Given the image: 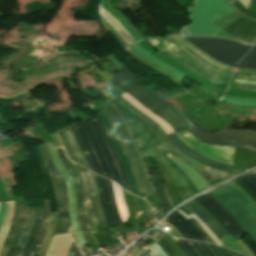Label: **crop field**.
<instances>
[{"mask_svg": "<svg viewBox=\"0 0 256 256\" xmlns=\"http://www.w3.org/2000/svg\"><path fill=\"white\" fill-rule=\"evenodd\" d=\"M113 104L121 112L144 159L155 156L167 150L179 160L189 164L210 185L234 175L208 168L180 153L168 140L165 132L158 124L140 112L126 100L122 99L113 102Z\"/></svg>", "mask_w": 256, "mask_h": 256, "instance_id": "obj_1", "label": "crop field"}, {"mask_svg": "<svg viewBox=\"0 0 256 256\" xmlns=\"http://www.w3.org/2000/svg\"><path fill=\"white\" fill-rule=\"evenodd\" d=\"M72 127L93 172L118 182L130 192L122 165L99 118L96 116Z\"/></svg>", "mask_w": 256, "mask_h": 256, "instance_id": "obj_2", "label": "crop field"}, {"mask_svg": "<svg viewBox=\"0 0 256 256\" xmlns=\"http://www.w3.org/2000/svg\"><path fill=\"white\" fill-rule=\"evenodd\" d=\"M188 11L192 24L181 29L185 36H215L222 29L212 21L237 10L225 0H194Z\"/></svg>", "mask_w": 256, "mask_h": 256, "instance_id": "obj_3", "label": "crop field"}, {"mask_svg": "<svg viewBox=\"0 0 256 256\" xmlns=\"http://www.w3.org/2000/svg\"><path fill=\"white\" fill-rule=\"evenodd\" d=\"M154 47L162 50L170 57L178 60L208 82L227 87L230 75L223 74L202 63L183 48L169 39H147Z\"/></svg>", "mask_w": 256, "mask_h": 256, "instance_id": "obj_4", "label": "crop field"}, {"mask_svg": "<svg viewBox=\"0 0 256 256\" xmlns=\"http://www.w3.org/2000/svg\"><path fill=\"white\" fill-rule=\"evenodd\" d=\"M104 113L109 118L117 136L119 137L122 146L131 162L138 187L142 196L153 191L150 181L148 179L146 170L144 168L142 159L128 133L126 126L124 125L120 115L116 112L112 105L103 109Z\"/></svg>", "mask_w": 256, "mask_h": 256, "instance_id": "obj_5", "label": "crop field"}, {"mask_svg": "<svg viewBox=\"0 0 256 256\" xmlns=\"http://www.w3.org/2000/svg\"><path fill=\"white\" fill-rule=\"evenodd\" d=\"M184 38L214 59L233 67L248 52L251 46L245 43L218 38Z\"/></svg>", "mask_w": 256, "mask_h": 256, "instance_id": "obj_6", "label": "crop field"}, {"mask_svg": "<svg viewBox=\"0 0 256 256\" xmlns=\"http://www.w3.org/2000/svg\"><path fill=\"white\" fill-rule=\"evenodd\" d=\"M39 147L42 152L44 161L47 165L49 174L53 180V184H54V188H55V192L58 200V217H57V222L55 225L53 235L66 233L67 223L69 218L66 182L63 179V177L59 174V172L56 170L46 144L44 143Z\"/></svg>", "mask_w": 256, "mask_h": 256, "instance_id": "obj_7", "label": "crop field"}, {"mask_svg": "<svg viewBox=\"0 0 256 256\" xmlns=\"http://www.w3.org/2000/svg\"><path fill=\"white\" fill-rule=\"evenodd\" d=\"M187 131L207 144L244 146L256 151V131H226L209 133L201 131L196 127Z\"/></svg>", "mask_w": 256, "mask_h": 256, "instance_id": "obj_8", "label": "crop field"}, {"mask_svg": "<svg viewBox=\"0 0 256 256\" xmlns=\"http://www.w3.org/2000/svg\"><path fill=\"white\" fill-rule=\"evenodd\" d=\"M72 162V161H71ZM82 184L85 211L89 226L106 222L102 214L92 172L72 162Z\"/></svg>", "mask_w": 256, "mask_h": 256, "instance_id": "obj_9", "label": "crop field"}, {"mask_svg": "<svg viewBox=\"0 0 256 256\" xmlns=\"http://www.w3.org/2000/svg\"><path fill=\"white\" fill-rule=\"evenodd\" d=\"M209 195L223 205L256 242V219L250 212L224 187L209 193Z\"/></svg>", "mask_w": 256, "mask_h": 256, "instance_id": "obj_10", "label": "crop field"}, {"mask_svg": "<svg viewBox=\"0 0 256 256\" xmlns=\"http://www.w3.org/2000/svg\"><path fill=\"white\" fill-rule=\"evenodd\" d=\"M126 92H128L136 101L151 111L159 109L168 103L148 91L135 77H133L123 66L121 70L113 76Z\"/></svg>", "mask_w": 256, "mask_h": 256, "instance_id": "obj_11", "label": "crop field"}, {"mask_svg": "<svg viewBox=\"0 0 256 256\" xmlns=\"http://www.w3.org/2000/svg\"><path fill=\"white\" fill-rule=\"evenodd\" d=\"M196 215L220 240L224 247L233 249L248 255L245 250L235 242L226 229L220 224V222L212 216L202 205H200L195 199L183 205Z\"/></svg>", "mask_w": 256, "mask_h": 256, "instance_id": "obj_12", "label": "crop field"}, {"mask_svg": "<svg viewBox=\"0 0 256 256\" xmlns=\"http://www.w3.org/2000/svg\"><path fill=\"white\" fill-rule=\"evenodd\" d=\"M100 205L109 227L122 224L117 212L111 182L94 174Z\"/></svg>", "mask_w": 256, "mask_h": 256, "instance_id": "obj_13", "label": "crop field"}, {"mask_svg": "<svg viewBox=\"0 0 256 256\" xmlns=\"http://www.w3.org/2000/svg\"><path fill=\"white\" fill-rule=\"evenodd\" d=\"M195 199L199 201L203 206H205L222 223V225L235 238L237 242L241 241L245 232L230 213L221 207L208 194L201 195Z\"/></svg>", "mask_w": 256, "mask_h": 256, "instance_id": "obj_14", "label": "crop field"}, {"mask_svg": "<svg viewBox=\"0 0 256 256\" xmlns=\"http://www.w3.org/2000/svg\"><path fill=\"white\" fill-rule=\"evenodd\" d=\"M177 134L189 144L194 149L200 151L201 153L210 156L220 162H224L232 165L233 150L234 147H221V146H211L199 142L187 131L177 132Z\"/></svg>", "mask_w": 256, "mask_h": 256, "instance_id": "obj_15", "label": "crop field"}, {"mask_svg": "<svg viewBox=\"0 0 256 256\" xmlns=\"http://www.w3.org/2000/svg\"><path fill=\"white\" fill-rule=\"evenodd\" d=\"M122 164H123V167H124V171H125V175H126V179L128 181V184H129V187L131 189V192L135 195H138L141 197L140 195V192H139V189L137 187V184H136V181H135V177H134V174H133V170L131 168V165H130V162L108 120V118L105 116L104 113L98 115Z\"/></svg>", "mask_w": 256, "mask_h": 256, "instance_id": "obj_16", "label": "crop field"}, {"mask_svg": "<svg viewBox=\"0 0 256 256\" xmlns=\"http://www.w3.org/2000/svg\"><path fill=\"white\" fill-rule=\"evenodd\" d=\"M56 150L59 154V158H60L61 163L67 169V171L72 176V179L74 180L75 193H76L77 215H78V220H79L81 231L82 232L83 231H90L88 223H87V219H86V216H85V211H84L81 184H80L78 176L74 177V176L77 175V173H76L73 165L71 164V162L66 157L63 149H56Z\"/></svg>", "mask_w": 256, "mask_h": 256, "instance_id": "obj_17", "label": "crop field"}, {"mask_svg": "<svg viewBox=\"0 0 256 256\" xmlns=\"http://www.w3.org/2000/svg\"><path fill=\"white\" fill-rule=\"evenodd\" d=\"M168 138L172 141L174 146H176L180 151L184 152L185 154L193 157L195 160L214 167L219 170L228 171L231 173H238L243 171L244 169L231 167L227 165H223L213 159L208 158L207 156L195 151L194 149L190 148L185 142H183L176 133H172L168 135Z\"/></svg>", "mask_w": 256, "mask_h": 256, "instance_id": "obj_18", "label": "crop field"}, {"mask_svg": "<svg viewBox=\"0 0 256 256\" xmlns=\"http://www.w3.org/2000/svg\"><path fill=\"white\" fill-rule=\"evenodd\" d=\"M154 113L161 119H163L175 131L186 130L194 126L179 110H177L169 103L164 105Z\"/></svg>", "mask_w": 256, "mask_h": 256, "instance_id": "obj_19", "label": "crop field"}, {"mask_svg": "<svg viewBox=\"0 0 256 256\" xmlns=\"http://www.w3.org/2000/svg\"><path fill=\"white\" fill-rule=\"evenodd\" d=\"M60 140L69 156L70 159L90 168L88 162L86 161L84 155L82 154L80 147L78 145L76 136L71 127H68L65 130L57 132ZM85 167V168H86Z\"/></svg>", "mask_w": 256, "mask_h": 256, "instance_id": "obj_20", "label": "crop field"}, {"mask_svg": "<svg viewBox=\"0 0 256 256\" xmlns=\"http://www.w3.org/2000/svg\"><path fill=\"white\" fill-rule=\"evenodd\" d=\"M27 208L14 206L13 217L5 242L6 246H17L26 221Z\"/></svg>", "mask_w": 256, "mask_h": 256, "instance_id": "obj_21", "label": "crop field"}, {"mask_svg": "<svg viewBox=\"0 0 256 256\" xmlns=\"http://www.w3.org/2000/svg\"><path fill=\"white\" fill-rule=\"evenodd\" d=\"M171 40L174 41L177 45L188 50L190 53H192L194 56H196L198 59H200L202 62L208 64L209 66H211L223 73L232 74L233 67L222 64V63L214 60L213 58H211L210 56L205 54L203 51H201L200 49H198L197 47H195L194 45L189 43L184 38H182V37L171 38Z\"/></svg>", "mask_w": 256, "mask_h": 256, "instance_id": "obj_22", "label": "crop field"}, {"mask_svg": "<svg viewBox=\"0 0 256 256\" xmlns=\"http://www.w3.org/2000/svg\"><path fill=\"white\" fill-rule=\"evenodd\" d=\"M165 220L175 226L185 239L207 241L199 230L178 212H173Z\"/></svg>", "mask_w": 256, "mask_h": 256, "instance_id": "obj_23", "label": "crop field"}, {"mask_svg": "<svg viewBox=\"0 0 256 256\" xmlns=\"http://www.w3.org/2000/svg\"><path fill=\"white\" fill-rule=\"evenodd\" d=\"M157 158L169 172L182 201L194 195L186 179L161 154Z\"/></svg>", "mask_w": 256, "mask_h": 256, "instance_id": "obj_24", "label": "crop field"}, {"mask_svg": "<svg viewBox=\"0 0 256 256\" xmlns=\"http://www.w3.org/2000/svg\"><path fill=\"white\" fill-rule=\"evenodd\" d=\"M175 241L186 256H220L209 244L176 239Z\"/></svg>", "mask_w": 256, "mask_h": 256, "instance_id": "obj_25", "label": "crop field"}, {"mask_svg": "<svg viewBox=\"0 0 256 256\" xmlns=\"http://www.w3.org/2000/svg\"><path fill=\"white\" fill-rule=\"evenodd\" d=\"M42 210L43 209L28 208L27 221H26L20 242H19L17 248L10 247L6 256H21L24 246L26 244V241L28 239L29 233H30L33 218L34 217L41 218Z\"/></svg>", "mask_w": 256, "mask_h": 256, "instance_id": "obj_26", "label": "crop field"}, {"mask_svg": "<svg viewBox=\"0 0 256 256\" xmlns=\"http://www.w3.org/2000/svg\"><path fill=\"white\" fill-rule=\"evenodd\" d=\"M132 48V50L134 52H136L138 55H140L142 58H144L145 60L151 62L152 64H154L155 66L171 73L172 75H174L175 77H177L178 79H182L185 77L184 74H182L180 71H178L176 68L172 67L171 65L160 61L156 58H154L151 54H149L141 45H139L138 43L130 46Z\"/></svg>", "mask_w": 256, "mask_h": 256, "instance_id": "obj_27", "label": "crop field"}, {"mask_svg": "<svg viewBox=\"0 0 256 256\" xmlns=\"http://www.w3.org/2000/svg\"><path fill=\"white\" fill-rule=\"evenodd\" d=\"M100 5L103 6L109 13H111L126 28V30L132 35V37L136 41L143 39L137 33L131 23L126 19V17L117 9H115L111 4H109L106 0H100Z\"/></svg>", "mask_w": 256, "mask_h": 256, "instance_id": "obj_28", "label": "crop field"}, {"mask_svg": "<svg viewBox=\"0 0 256 256\" xmlns=\"http://www.w3.org/2000/svg\"><path fill=\"white\" fill-rule=\"evenodd\" d=\"M100 15L114 28L121 38L130 46L136 42L124 27L101 6L99 8Z\"/></svg>", "mask_w": 256, "mask_h": 256, "instance_id": "obj_29", "label": "crop field"}, {"mask_svg": "<svg viewBox=\"0 0 256 256\" xmlns=\"http://www.w3.org/2000/svg\"><path fill=\"white\" fill-rule=\"evenodd\" d=\"M229 87L256 91V77L234 75Z\"/></svg>", "mask_w": 256, "mask_h": 256, "instance_id": "obj_30", "label": "crop field"}, {"mask_svg": "<svg viewBox=\"0 0 256 256\" xmlns=\"http://www.w3.org/2000/svg\"><path fill=\"white\" fill-rule=\"evenodd\" d=\"M49 217H50V204H49V201H44L43 221H42L41 229L36 238L34 249H33L31 256H37V253L39 251V248L41 246V243H42V240H43L46 228H47Z\"/></svg>", "mask_w": 256, "mask_h": 256, "instance_id": "obj_31", "label": "crop field"}, {"mask_svg": "<svg viewBox=\"0 0 256 256\" xmlns=\"http://www.w3.org/2000/svg\"><path fill=\"white\" fill-rule=\"evenodd\" d=\"M224 187L229 190L256 217V207L239 189H237L231 183Z\"/></svg>", "mask_w": 256, "mask_h": 256, "instance_id": "obj_32", "label": "crop field"}, {"mask_svg": "<svg viewBox=\"0 0 256 256\" xmlns=\"http://www.w3.org/2000/svg\"><path fill=\"white\" fill-rule=\"evenodd\" d=\"M153 182V181H152ZM156 194L158 196L159 202L163 209L164 214L168 212L173 206L167 196L166 187L164 185L153 182Z\"/></svg>", "mask_w": 256, "mask_h": 256, "instance_id": "obj_33", "label": "crop field"}, {"mask_svg": "<svg viewBox=\"0 0 256 256\" xmlns=\"http://www.w3.org/2000/svg\"><path fill=\"white\" fill-rule=\"evenodd\" d=\"M251 196L256 200V173L249 174L243 178L236 180Z\"/></svg>", "mask_w": 256, "mask_h": 256, "instance_id": "obj_34", "label": "crop field"}, {"mask_svg": "<svg viewBox=\"0 0 256 256\" xmlns=\"http://www.w3.org/2000/svg\"><path fill=\"white\" fill-rule=\"evenodd\" d=\"M237 66L256 70V46H252L251 51L239 61Z\"/></svg>", "mask_w": 256, "mask_h": 256, "instance_id": "obj_35", "label": "crop field"}, {"mask_svg": "<svg viewBox=\"0 0 256 256\" xmlns=\"http://www.w3.org/2000/svg\"><path fill=\"white\" fill-rule=\"evenodd\" d=\"M12 211H13V202H7V210H6V216L3 221L2 227L0 229V249L2 247V244L4 242L7 229L10 224L11 216H12Z\"/></svg>", "mask_w": 256, "mask_h": 256, "instance_id": "obj_36", "label": "crop field"}, {"mask_svg": "<svg viewBox=\"0 0 256 256\" xmlns=\"http://www.w3.org/2000/svg\"><path fill=\"white\" fill-rule=\"evenodd\" d=\"M40 221H41V219H38V218L34 219L32 229H31V233H30L28 242L26 244V247H25V250H24L22 256H29L30 255L35 236H36V234L38 232V229H39Z\"/></svg>", "mask_w": 256, "mask_h": 256, "instance_id": "obj_37", "label": "crop field"}, {"mask_svg": "<svg viewBox=\"0 0 256 256\" xmlns=\"http://www.w3.org/2000/svg\"><path fill=\"white\" fill-rule=\"evenodd\" d=\"M221 101H228L236 104L256 106V99H252V98H240V97H231V96L224 95Z\"/></svg>", "mask_w": 256, "mask_h": 256, "instance_id": "obj_38", "label": "crop field"}, {"mask_svg": "<svg viewBox=\"0 0 256 256\" xmlns=\"http://www.w3.org/2000/svg\"><path fill=\"white\" fill-rule=\"evenodd\" d=\"M157 243L164 250L167 256H177L172 250V248L169 246L167 241L164 239V237L161 240H159Z\"/></svg>", "mask_w": 256, "mask_h": 256, "instance_id": "obj_39", "label": "crop field"}, {"mask_svg": "<svg viewBox=\"0 0 256 256\" xmlns=\"http://www.w3.org/2000/svg\"><path fill=\"white\" fill-rule=\"evenodd\" d=\"M164 237L168 241V243L170 244V246L173 248V250L176 252V254L178 256H185L184 253L180 250V248L178 247V245L176 244V242L174 241V239L172 237H170L167 234Z\"/></svg>", "mask_w": 256, "mask_h": 256, "instance_id": "obj_40", "label": "crop field"}, {"mask_svg": "<svg viewBox=\"0 0 256 256\" xmlns=\"http://www.w3.org/2000/svg\"><path fill=\"white\" fill-rule=\"evenodd\" d=\"M165 158H167L163 153H161ZM168 159V158H167ZM169 160V159H168ZM170 161V160H169ZM171 162V161H170ZM172 163V162H171ZM172 165L187 179V181H188V183H189V185H190V187H191V189H192V191H193V193H195V192H197L196 191V189H195V187L193 186V184L191 183V181L189 180V178L186 176V174L182 171V170H180L175 164H173L172 163Z\"/></svg>", "mask_w": 256, "mask_h": 256, "instance_id": "obj_41", "label": "crop field"}, {"mask_svg": "<svg viewBox=\"0 0 256 256\" xmlns=\"http://www.w3.org/2000/svg\"><path fill=\"white\" fill-rule=\"evenodd\" d=\"M213 246V245H212ZM217 253L221 256H232L231 253L227 249H223L221 247L213 246Z\"/></svg>", "mask_w": 256, "mask_h": 256, "instance_id": "obj_42", "label": "crop field"}, {"mask_svg": "<svg viewBox=\"0 0 256 256\" xmlns=\"http://www.w3.org/2000/svg\"><path fill=\"white\" fill-rule=\"evenodd\" d=\"M6 202H0V226L5 216Z\"/></svg>", "mask_w": 256, "mask_h": 256, "instance_id": "obj_43", "label": "crop field"}, {"mask_svg": "<svg viewBox=\"0 0 256 256\" xmlns=\"http://www.w3.org/2000/svg\"><path fill=\"white\" fill-rule=\"evenodd\" d=\"M68 256H81L78 248L76 247L75 243L73 242L72 247L70 249V252Z\"/></svg>", "mask_w": 256, "mask_h": 256, "instance_id": "obj_44", "label": "crop field"}, {"mask_svg": "<svg viewBox=\"0 0 256 256\" xmlns=\"http://www.w3.org/2000/svg\"><path fill=\"white\" fill-rule=\"evenodd\" d=\"M238 74H247V75H253V76H256V71L240 68V69H239V73H238Z\"/></svg>", "mask_w": 256, "mask_h": 256, "instance_id": "obj_45", "label": "crop field"}, {"mask_svg": "<svg viewBox=\"0 0 256 256\" xmlns=\"http://www.w3.org/2000/svg\"><path fill=\"white\" fill-rule=\"evenodd\" d=\"M227 1L233 3V2H235V1H237V0H227ZM239 1H240L246 8H248L249 5H250V0H239Z\"/></svg>", "mask_w": 256, "mask_h": 256, "instance_id": "obj_46", "label": "crop field"}, {"mask_svg": "<svg viewBox=\"0 0 256 256\" xmlns=\"http://www.w3.org/2000/svg\"><path fill=\"white\" fill-rule=\"evenodd\" d=\"M193 223L196 225V227L201 231V233L206 237V239L209 241V242H211V243H213L212 242V240L207 236V234L203 231V229H201L194 221H193Z\"/></svg>", "mask_w": 256, "mask_h": 256, "instance_id": "obj_47", "label": "crop field"}, {"mask_svg": "<svg viewBox=\"0 0 256 256\" xmlns=\"http://www.w3.org/2000/svg\"><path fill=\"white\" fill-rule=\"evenodd\" d=\"M181 210H183L186 214L190 215V211H188L186 208H184L183 206L180 207Z\"/></svg>", "mask_w": 256, "mask_h": 256, "instance_id": "obj_48", "label": "crop field"}, {"mask_svg": "<svg viewBox=\"0 0 256 256\" xmlns=\"http://www.w3.org/2000/svg\"><path fill=\"white\" fill-rule=\"evenodd\" d=\"M230 252L232 253V255H233V256H244V255H241V254H238V253L232 252V251H230Z\"/></svg>", "mask_w": 256, "mask_h": 256, "instance_id": "obj_49", "label": "crop field"}, {"mask_svg": "<svg viewBox=\"0 0 256 256\" xmlns=\"http://www.w3.org/2000/svg\"><path fill=\"white\" fill-rule=\"evenodd\" d=\"M141 256H150L146 251L142 253Z\"/></svg>", "mask_w": 256, "mask_h": 256, "instance_id": "obj_50", "label": "crop field"}, {"mask_svg": "<svg viewBox=\"0 0 256 256\" xmlns=\"http://www.w3.org/2000/svg\"><path fill=\"white\" fill-rule=\"evenodd\" d=\"M174 36H179L178 34H174V35H168L167 37H174Z\"/></svg>", "mask_w": 256, "mask_h": 256, "instance_id": "obj_51", "label": "crop field"}]
</instances>
